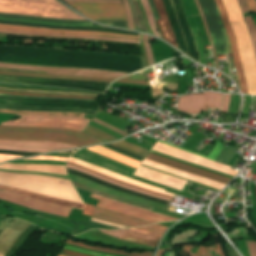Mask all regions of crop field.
<instances>
[{
    "mask_svg": "<svg viewBox=\"0 0 256 256\" xmlns=\"http://www.w3.org/2000/svg\"><path fill=\"white\" fill-rule=\"evenodd\" d=\"M123 2H124V5H125V8H126V11H127V24H128V28L135 29L134 28V24H133V20H132L131 11H130V9L128 7L127 1L123 0Z\"/></svg>",
    "mask_w": 256,
    "mask_h": 256,
    "instance_id": "crop-field-41",
    "label": "crop field"
},
{
    "mask_svg": "<svg viewBox=\"0 0 256 256\" xmlns=\"http://www.w3.org/2000/svg\"><path fill=\"white\" fill-rule=\"evenodd\" d=\"M19 157H22V156H11V155H1L0 154V162L9 160V159L19 158Z\"/></svg>",
    "mask_w": 256,
    "mask_h": 256,
    "instance_id": "crop-field-51",
    "label": "crop field"
},
{
    "mask_svg": "<svg viewBox=\"0 0 256 256\" xmlns=\"http://www.w3.org/2000/svg\"><path fill=\"white\" fill-rule=\"evenodd\" d=\"M0 145L6 146H27V147H45L54 149H65V148H75L76 146L68 145L59 142H48V141H7L0 140Z\"/></svg>",
    "mask_w": 256,
    "mask_h": 256,
    "instance_id": "crop-field-23",
    "label": "crop field"
},
{
    "mask_svg": "<svg viewBox=\"0 0 256 256\" xmlns=\"http://www.w3.org/2000/svg\"><path fill=\"white\" fill-rule=\"evenodd\" d=\"M250 10L256 13V2L255 0H247Z\"/></svg>",
    "mask_w": 256,
    "mask_h": 256,
    "instance_id": "crop-field-53",
    "label": "crop field"
},
{
    "mask_svg": "<svg viewBox=\"0 0 256 256\" xmlns=\"http://www.w3.org/2000/svg\"><path fill=\"white\" fill-rule=\"evenodd\" d=\"M237 150H238V147L228 145V147L225 149V151L219 158V161L228 163L230 159L235 155Z\"/></svg>",
    "mask_w": 256,
    "mask_h": 256,
    "instance_id": "crop-field-36",
    "label": "crop field"
},
{
    "mask_svg": "<svg viewBox=\"0 0 256 256\" xmlns=\"http://www.w3.org/2000/svg\"><path fill=\"white\" fill-rule=\"evenodd\" d=\"M148 38H149L148 36L143 35V41H144V45H145V49H146V53H147L148 64L150 66V65L154 64L155 62H154L152 52L150 50V44L147 43Z\"/></svg>",
    "mask_w": 256,
    "mask_h": 256,
    "instance_id": "crop-field-39",
    "label": "crop field"
},
{
    "mask_svg": "<svg viewBox=\"0 0 256 256\" xmlns=\"http://www.w3.org/2000/svg\"><path fill=\"white\" fill-rule=\"evenodd\" d=\"M86 234L103 236L109 238L122 239L132 242H138L148 245L156 246L157 242L160 240L159 237H153L148 235L138 234L136 232L118 230V231H100V230H91L85 232Z\"/></svg>",
    "mask_w": 256,
    "mask_h": 256,
    "instance_id": "crop-field-14",
    "label": "crop field"
},
{
    "mask_svg": "<svg viewBox=\"0 0 256 256\" xmlns=\"http://www.w3.org/2000/svg\"><path fill=\"white\" fill-rule=\"evenodd\" d=\"M139 229H143V230H147V231H151V232H155V233H160V234H164L165 230L167 229L166 227L154 224L151 226H146V227H140Z\"/></svg>",
    "mask_w": 256,
    "mask_h": 256,
    "instance_id": "crop-field-40",
    "label": "crop field"
},
{
    "mask_svg": "<svg viewBox=\"0 0 256 256\" xmlns=\"http://www.w3.org/2000/svg\"><path fill=\"white\" fill-rule=\"evenodd\" d=\"M250 256H256V242L245 241Z\"/></svg>",
    "mask_w": 256,
    "mask_h": 256,
    "instance_id": "crop-field-42",
    "label": "crop field"
},
{
    "mask_svg": "<svg viewBox=\"0 0 256 256\" xmlns=\"http://www.w3.org/2000/svg\"><path fill=\"white\" fill-rule=\"evenodd\" d=\"M63 1H82V2H117V3H122V0H63Z\"/></svg>",
    "mask_w": 256,
    "mask_h": 256,
    "instance_id": "crop-field-44",
    "label": "crop field"
},
{
    "mask_svg": "<svg viewBox=\"0 0 256 256\" xmlns=\"http://www.w3.org/2000/svg\"><path fill=\"white\" fill-rule=\"evenodd\" d=\"M88 150L94 151L96 153H99L101 155H104L106 157L112 158L114 160L120 161L122 163H125L127 165L133 166L135 168H137V166L139 165V162L132 160L130 158H127L125 156H122L112 150H109L107 148H104L102 146H98V147H94V148H88Z\"/></svg>",
    "mask_w": 256,
    "mask_h": 256,
    "instance_id": "crop-field-27",
    "label": "crop field"
},
{
    "mask_svg": "<svg viewBox=\"0 0 256 256\" xmlns=\"http://www.w3.org/2000/svg\"><path fill=\"white\" fill-rule=\"evenodd\" d=\"M0 70L37 72V73H48V74H66V75H78V76H94V77H107V78H118L123 75H126L122 73L106 72V71H98V70L44 68V67H37V66L12 65V64H2V63H0Z\"/></svg>",
    "mask_w": 256,
    "mask_h": 256,
    "instance_id": "crop-field-8",
    "label": "crop field"
},
{
    "mask_svg": "<svg viewBox=\"0 0 256 256\" xmlns=\"http://www.w3.org/2000/svg\"><path fill=\"white\" fill-rule=\"evenodd\" d=\"M0 169L36 171V172H46V173L66 175L65 166H61V165L4 164V165H0Z\"/></svg>",
    "mask_w": 256,
    "mask_h": 256,
    "instance_id": "crop-field-20",
    "label": "crop field"
},
{
    "mask_svg": "<svg viewBox=\"0 0 256 256\" xmlns=\"http://www.w3.org/2000/svg\"><path fill=\"white\" fill-rule=\"evenodd\" d=\"M230 94H225L221 112L226 113L229 105Z\"/></svg>",
    "mask_w": 256,
    "mask_h": 256,
    "instance_id": "crop-field-45",
    "label": "crop field"
},
{
    "mask_svg": "<svg viewBox=\"0 0 256 256\" xmlns=\"http://www.w3.org/2000/svg\"><path fill=\"white\" fill-rule=\"evenodd\" d=\"M153 150L168 154L170 156H173V157L185 160V161H189V162H192L195 164L209 167V168L218 170L220 172H223V173H226V174H229L232 176H234L237 173V171L230 169L229 166L204 159L202 157L196 156L194 154L176 149L174 147H171V146L159 143V142H157V144L154 146Z\"/></svg>",
    "mask_w": 256,
    "mask_h": 256,
    "instance_id": "crop-field-11",
    "label": "crop field"
},
{
    "mask_svg": "<svg viewBox=\"0 0 256 256\" xmlns=\"http://www.w3.org/2000/svg\"><path fill=\"white\" fill-rule=\"evenodd\" d=\"M142 164H145V165L157 168L159 170H162V171H165V172L177 175L179 177H182V178H185V179H188V180H191V181H195V182H198V183H201V184H204V185L216 188L218 190H220L224 186L223 184L217 183L215 181H212V180H209V179H205V178L199 177L197 175L188 174V173H185L183 171L171 169V168H168V167L156 164L154 162L148 161L146 159L142 162Z\"/></svg>",
    "mask_w": 256,
    "mask_h": 256,
    "instance_id": "crop-field-18",
    "label": "crop field"
},
{
    "mask_svg": "<svg viewBox=\"0 0 256 256\" xmlns=\"http://www.w3.org/2000/svg\"><path fill=\"white\" fill-rule=\"evenodd\" d=\"M92 220H93V221L100 222V223H103V224L111 225V226H114V227L123 228V226H119V225H115V224L107 223V222L100 221V220H97V219H94V218H93Z\"/></svg>",
    "mask_w": 256,
    "mask_h": 256,
    "instance_id": "crop-field-56",
    "label": "crop field"
},
{
    "mask_svg": "<svg viewBox=\"0 0 256 256\" xmlns=\"http://www.w3.org/2000/svg\"><path fill=\"white\" fill-rule=\"evenodd\" d=\"M251 173L256 174V163H255L254 168H253V170H252V172H251Z\"/></svg>",
    "mask_w": 256,
    "mask_h": 256,
    "instance_id": "crop-field-59",
    "label": "crop field"
},
{
    "mask_svg": "<svg viewBox=\"0 0 256 256\" xmlns=\"http://www.w3.org/2000/svg\"><path fill=\"white\" fill-rule=\"evenodd\" d=\"M64 248H65V249L72 250V251H76V252H80V253H84V254L92 255V256H105V255H97V254H92V253H88V252H84V251L76 250V249H73V248H71V247H67V246H64Z\"/></svg>",
    "mask_w": 256,
    "mask_h": 256,
    "instance_id": "crop-field-52",
    "label": "crop field"
},
{
    "mask_svg": "<svg viewBox=\"0 0 256 256\" xmlns=\"http://www.w3.org/2000/svg\"><path fill=\"white\" fill-rule=\"evenodd\" d=\"M0 74L24 76V77H36V78H58V79H70V80L97 81V82H111L115 80V79H106V78L78 77V76H64V75H44V74H32V73L8 72V71H0Z\"/></svg>",
    "mask_w": 256,
    "mask_h": 256,
    "instance_id": "crop-field-24",
    "label": "crop field"
},
{
    "mask_svg": "<svg viewBox=\"0 0 256 256\" xmlns=\"http://www.w3.org/2000/svg\"><path fill=\"white\" fill-rule=\"evenodd\" d=\"M153 2L157 8L158 15L160 18V20H157L156 23L162 37L164 38V40H166L167 42L171 43L176 48H178L175 36L173 34V31L167 19V15H166L162 0H153Z\"/></svg>",
    "mask_w": 256,
    "mask_h": 256,
    "instance_id": "crop-field-19",
    "label": "crop field"
},
{
    "mask_svg": "<svg viewBox=\"0 0 256 256\" xmlns=\"http://www.w3.org/2000/svg\"><path fill=\"white\" fill-rule=\"evenodd\" d=\"M68 161L72 162V163H75V164H78V165H81L83 167L89 168L91 170L97 171L99 173H102V174L107 175L109 177L115 178L117 180L123 181L125 183H128V184L135 185V186L147 189V190H151V191H154V192H157V193H161V194H164V195H168V196L174 197V194L166 193V192H164V189H160V188H157V187H154V186H150V185L141 183L139 181H136V180H133V179H130V178L118 175L116 173H113V172L107 171L105 169L96 167V166L88 164L86 162L77 160L75 158L70 157V159H68Z\"/></svg>",
    "mask_w": 256,
    "mask_h": 256,
    "instance_id": "crop-field-17",
    "label": "crop field"
},
{
    "mask_svg": "<svg viewBox=\"0 0 256 256\" xmlns=\"http://www.w3.org/2000/svg\"><path fill=\"white\" fill-rule=\"evenodd\" d=\"M89 120L67 116L21 115V119L1 123L11 126L59 127L82 131Z\"/></svg>",
    "mask_w": 256,
    "mask_h": 256,
    "instance_id": "crop-field-6",
    "label": "crop field"
},
{
    "mask_svg": "<svg viewBox=\"0 0 256 256\" xmlns=\"http://www.w3.org/2000/svg\"><path fill=\"white\" fill-rule=\"evenodd\" d=\"M162 143H164V142H162ZM165 144H167V143H165ZM168 145H171V144H168ZM171 146H174V145H171ZM174 147H177V146H174ZM221 147H222L221 143L218 142V144L215 146V148L212 150V152L206 158H209L211 160H215V158L217 157ZM177 148H180V147H177ZM180 149H182V148H180ZM183 150H185V149H183ZM185 151H188V150H185ZM188 152H191V151H188ZM191 153H194V152H191ZM194 154H196V153H194ZM197 155H199V154H197ZM200 156H202V155H200ZM203 157H205V156H203Z\"/></svg>",
    "mask_w": 256,
    "mask_h": 256,
    "instance_id": "crop-field-38",
    "label": "crop field"
},
{
    "mask_svg": "<svg viewBox=\"0 0 256 256\" xmlns=\"http://www.w3.org/2000/svg\"><path fill=\"white\" fill-rule=\"evenodd\" d=\"M61 253H62V254L69 255V256H87V255L75 253V252L68 251V250H64V249H62Z\"/></svg>",
    "mask_w": 256,
    "mask_h": 256,
    "instance_id": "crop-field-50",
    "label": "crop field"
},
{
    "mask_svg": "<svg viewBox=\"0 0 256 256\" xmlns=\"http://www.w3.org/2000/svg\"><path fill=\"white\" fill-rule=\"evenodd\" d=\"M0 199H4L9 202L17 203L35 210L48 212L59 216L68 217L71 211L70 208L47 204L41 201L29 199L6 191L0 192Z\"/></svg>",
    "mask_w": 256,
    "mask_h": 256,
    "instance_id": "crop-field-12",
    "label": "crop field"
},
{
    "mask_svg": "<svg viewBox=\"0 0 256 256\" xmlns=\"http://www.w3.org/2000/svg\"><path fill=\"white\" fill-rule=\"evenodd\" d=\"M0 93H4V92H0ZM7 94H12V93H7ZM20 95L51 96V97H63V98H88V97H70V96L37 95V94H20ZM88 99H95V98H88Z\"/></svg>",
    "mask_w": 256,
    "mask_h": 256,
    "instance_id": "crop-field-48",
    "label": "crop field"
},
{
    "mask_svg": "<svg viewBox=\"0 0 256 256\" xmlns=\"http://www.w3.org/2000/svg\"><path fill=\"white\" fill-rule=\"evenodd\" d=\"M3 33H17V34H29L38 36H51V37H71V38H90V39H105V40H115V41H125V42H135L139 43V40H128L122 38H109V37H93V36H77V35H61V34H49L40 32H29V31H17V30H4L0 29Z\"/></svg>",
    "mask_w": 256,
    "mask_h": 256,
    "instance_id": "crop-field-25",
    "label": "crop field"
},
{
    "mask_svg": "<svg viewBox=\"0 0 256 256\" xmlns=\"http://www.w3.org/2000/svg\"><path fill=\"white\" fill-rule=\"evenodd\" d=\"M58 256H60V255H58Z\"/></svg>",
    "mask_w": 256,
    "mask_h": 256,
    "instance_id": "crop-field-60",
    "label": "crop field"
},
{
    "mask_svg": "<svg viewBox=\"0 0 256 256\" xmlns=\"http://www.w3.org/2000/svg\"><path fill=\"white\" fill-rule=\"evenodd\" d=\"M150 155L157 156V155H154L151 153H150ZM157 157H159V156H157ZM160 158H162V157H160ZM163 159H165V158H163ZM166 160H168V159H166ZM169 161H171V160H169ZM172 162H174V161H172ZM174 163H177V162H174ZM177 164H180V163H177ZM180 165H183V164H180ZM184 166H187V165H184ZM188 167H190V166H188ZM191 168H193V167H191ZM194 169H196V168H194ZM197 170H200V169H197ZM200 171H203V170H200ZM203 172H206V171H203ZM206 173H209V172H206ZM209 174H212V173H209ZM213 175H216V174H213ZM216 176H219V175H216ZM219 177H222V176H219ZM222 178H226V177H222ZM226 179L230 180V178H226Z\"/></svg>",
    "mask_w": 256,
    "mask_h": 256,
    "instance_id": "crop-field-55",
    "label": "crop field"
},
{
    "mask_svg": "<svg viewBox=\"0 0 256 256\" xmlns=\"http://www.w3.org/2000/svg\"><path fill=\"white\" fill-rule=\"evenodd\" d=\"M116 82H123V83H136V84H144L147 85L146 81H139V80H126V79H119Z\"/></svg>",
    "mask_w": 256,
    "mask_h": 256,
    "instance_id": "crop-field-47",
    "label": "crop field"
},
{
    "mask_svg": "<svg viewBox=\"0 0 256 256\" xmlns=\"http://www.w3.org/2000/svg\"><path fill=\"white\" fill-rule=\"evenodd\" d=\"M195 3H196V5H197V7H198V10H199L200 14H201V17H202V20H203V24H204V27H205L206 33H207L208 38H209V41H210V43H211L212 52H213V56H214V59H215V66H216V68H218V64H217L216 57H215V52H214L213 43H212V40H211L210 34H209V32H208V29H207V25H206V22H205L204 15H203V13H202V10H201V8H200L199 3H198V1H197V0H195Z\"/></svg>",
    "mask_w": 256,
    "mask_h": 256,
    "instance_id": "crop-field-37",
    "label": "crop field"
},
{
    "mask_svg": "<svg viewBox=\"0 0 256 256\" xmlns=\"http://www.w3.org/2000/svg\"><path fill=\"white\" fill-rule=\"evenodd\" d=\"M67 244L87 248V249H92L96 251H101V252H108V253H115V254H121V255H127V256H152L154 252H145V253H135V254H128L123 251H118V250H112V249H106V248H100V247H93V246H86L80 242H72V241H67Z\"/></svg>",
    "mask_w": 256,
    "mask_h": 256,
    "instance_id": "crop-field-30",
    "label": "crop field"
},
{
    "mask_svg": "<svg viewBox=\"0 0 256 256\" xmlns=\"http://www.w3.org/2000/svg\"><path fill=\"white\" fill-rule=\"evenodd\" d=\"M222 96L223 94L214 92L179 96L177 109L190 114H198L200 109L207 111L208 107L219 108Z\"/></svg>",
    "mask_w": 256,
    "mask_h": 256,
    "instance_id": "crop-field-10",
    "label": "crop field"
},
{
    "mask_svg": "<svg viewBox=\"0 0 256 256\" xmlns=\"http://www.w3.org/2000/svg\"><path fill=\"white\" fill-rule=\"evenodd\" d=\"M25 211L39 214L47 218L43 226L44 229H49V230H54V231H59V232H64L69 234H71L73 232L72 230H74L75 233H73L72 235L80 234L89 229H116V228H112V227L105 226V225L88 221V220L80 219L79 221H77L69 218H63V217H59V216H55V215H51L43 212H38V211L27 209V208H25ZM39 215H36L33 221V224L39 227H42L45 221V218Z\"/></svg>",
    "mask_w": 256,
    "mask_h": 256,
    "instance_id": "crop-field-5",
    "label": "crop field"
},
{
    "mask_svg": "<svg viewBox=\"0 0 256 256\" xmlns=\"http://www.w3.org/2000/svg\"><path fill=\"white\" fill-rule=\"evenodd\" d=\"M146 159H149L151 161L157 162L159 164H162V165H165V166H168V167H171V168L183 170V171H186L188 173H193V174H197V175L202 176V177L210 178V179H213V180L218 181L220 183L226 184L229 181V180L222 179V178H219V177H216V176H213V175H209V174H206V173H203V172H200V171L192 170V169H189V168H186V167H183V166H180V165H177V164H174V163H171L169 161L159 159V158H156V157H153V156L147 155Z\"/></svg>",
    "mask_w": 256,
    "mask_h": 256,
    "instance_id": "crop-field-26",
    "label": "crop field"
},
{
    "mask_svg": "<svg viewBox=\"0 0 256 256\" xmlns=\"http://www.w3.org/2000/svg\"><path fill=\"white\" fill-rule=\"evenodd\" d=\"M126 230H132V231H136V232H139V233L154 235V236H159V237L162 236V235H158V234H154V233H150V232H146V231H142V230H138V229H134V228H130V229H126Z\"/></svg>",
    "mask_w": 256,
    "mask_h": 256,
    "instance_id": "crop-field-54",
    "label": "crop field"
},
{
    "mask_svg": "<svg viewBox=\"0 0 256 256\" xmlns=\"http://www.w3.org/2000/svg\"><path fill=\"white\" fill-rule=\"evenodd\" d=\"M28 159H51V160H63V161L67 160V158H62V157H43V156L28 158Z\"/></svg>",
    "mask_w": 256,
    "mask_h": 256,
    "instance_id": "crop-field-49",
    "label": "crop field"
},
{
    "mask_svg": "<svg viewBox=\"0 0 256 256\" xmlns=\"http://www.w3.org/2000/svg\"><path fill=\"white\" fill-rule=\"evenodd\" d=\"M91 198L100 200L99 203L97 204V207L104 208L113 212L125 214L128 216L144 219L153 223L178 220V219L166 217L160 214L152 213L148 210L118 203L108 198L100 197L97 195L92 194Z\"/></svg>",
    "mask_w": 256,
    "mask_h": 256,
    "instance_id": "crop-field-9",
    "label": "crop field"
},
{
    "mask_svg": "<svg viewBox=\"0 0 256 256\" xmlns=\"http://www.w3.org/2000/svg\"><path fill=\"white\" fill-rule=\"evenodd\" d=\"M0 113L36 114V115H67V116H75V117H84V115H85V114H80V113L37 112V111H12V110H0Z\"/></svg>",
    "mask_w": 256,
    "mask_h": 256,
    "instance_id": "crop-field-32",
    "label": "crop field"
},
{
    "mask_svg": "<svg viewBox=\"0 0 256 256\" xmlns=\"http://www.w3.org/2000/svg\"><path fill=\"white\" fill-rule=\"evenodd\" d=\"M72 183H73L74 187L80 188V189L85 190L87 192H91V193L98 194V195H101V196H104V197H108V198H111V199L116 200L118 202L135 205V206L142 207V208L149 209V210L152 209V207H148V206H145V205L137 204V203L125 200V199L118 198V197L110 196V195L104 194L102 192H99L97 190H94V189H91V188L79 185L77 183H74V182H72Z\"/></svg>",
    "mask_w": 256,
    "mask_h": 256,
    "instance_id": "crop-field-31",
    "label": "crop field"
},
{
    "mask_svg": "<svg viewBox=\"0 0 256 256\" xmlns=\"http://www.w3.org/2000/svg\"><path fill=\"white\" fill-rule=\"evenodd\" d=\"M67 167H68V168L75 169V170H78V171H81V172H84V173L89 174V175H92V176H94V177L100 178V179L105 180V181H107V182H109V183H111V184H114V185L122 186V187H125V188H128V189H131V190H135V191H138V192H141V193H144V194H148V195H151V196H154V197H158V198H161V199H165V200L170 201V198H166V197H163V196H160V195H156V194H153V193H150V192H146V191H143V190H140V189H137V188H133V187H130V186L122 185V184L117 183V182H115V181H112V180H110V179H108V178H105V177H103V176L97 175V174H95V173L89 172V171H87V170L81 169V168L76 167V166H72V165H68V164H67Z\"/></svg>",
    "mask_w": 256,
    "mask_h": 256,
    "instance_id": "crop-field-28",
    "label": "crop field"
},
{
    "mask_svg": "<svg viewBox=\"0 0 256 256\" xmlns=\"http://www.w3.org/2000/svg\"><path fill=\"white\" fill-rule=\"evenodd\" d=\"M83 215L101 218L114 223L122 224L129 227L143 226L152 224L150 222L116 214L107 210L99 209L93 206L85 205Z\"/></svg>",
    "mask_w": 256,
    "mask_h": 256,
    "instance_id": "crop-field-13",
    "label": "crop field"
},
{
    "mask_svg": "<svg viewBox=\"0 0 256 256\" xmlns=\"http://www.w3.org/2000/svg\"><path fill=\"white\" fill-rule=\"evenodd\" d=\"M0 28L40 31V32H49V33L106 35V36H117V37H127V38H136V39H139V37H140V36H136V35H127V34L84 32V31H70V30H53V29H39V28H31V27H23V26H12V25H0Z\"/></svg>",
    "mask_w": 256,
    "mask_h": 256,
    "instance_id": "crop-field-21",
    "label": "crop field"
},
{
    "mask_svg": "<svg viewBox=\"0 0 256 256\" xmlns=\"http://www.w3.org/2000/svg\"><path fill=\"white\" fill-rule=\"evenodd\" d=\"M234 31L248 94L256 95V60L237 0H222Z\"/></svg>",
    "mask_w": 256,
    "mask_h": 256,
    "instance_id": "crop-field-2",
    "label": "crop field"
},
{
    "mask_svg": "<svg viewBox=\"0 0 256 256\" xmlns=\"http://www.w3.org/2000/svg\"><path fill=\"white\" fill-rule=\"evenodd\" d=\"M0 150H12V151H24V152H40L45 153L48 151H53V149H44V148H16V147H5L0 146Z\"/></svg>",
    "mask_w": 256,
    "mask_h": 256,
    "instance_id": "crop-field-35",
    "label": "crop field"
},
{
    "mask_svg": "<svg viewBox=\"0 0 256 256\" xmlns=\"http://www.w3.org/2000/svg\"><path fill=\"white\" fill-rule=\"evenodd\" d=\"M92 20H126L123 4L67 2Z\"/></svg>",
    "mask_w": 256,
    "mask_h": 256,
    "instance_id": "crop-field-7",
    "label": "crop field"
},
{
    "mask_svg": "<svg viewBox=\"0 0 256 256\" xmlns=\"http://www.w3.org/2000/svg\"><path fill=\"white\" fill-rule=\"evenodd\" d=\"M166 250L171 251V249H159L156 256H161Z\"/></svg>",
    "mask_w": 256,
    "mask_h": 256,
    "instance_id": "crop-field-57",
    "label": "crop field"
},
{
    "mask_svg": "<svg viewBox=\"0 0 256 256\" xmlns=\"http://www.w3.org/2000/svg\"><path fill=\"white\" fill-rule=\"evenodd\" d=\"M0 139L60 141L79 147L100 143L79 131L55 128L0 126Z\"/></svg>",
    "mask_w": 256,
    "mask_h": 256,
    "instance_id": "crop-field-3",
    "label": "crop field"
},
{
    "mask_svg": "<svg viewBox=\"0 0 256 256\" xmlns=\"http://www.w3.org/2000/svg\"><path fill=\"white\" fill-rule=\"evenodd\" d=\"M0 78H4V79H19V80H32V81H41V82L74 83V84L93 85V86H108L109 85V83L68 81V80H51V79H36V78L12 77V76H2V75H0Z\"/></svg>",
    "mask_w": 256,
    "mask_h": 256,
    "instance_id": "crop-field-29",
    "label": "crop field"
},
{
    "mask_svg": "<svg viewBox=\"0 0 256 256\" xmlns=\"http://www.w3.org/2000/svg\"><path fill=\"white\" fill-rule=\"evenodd\" d=\"M238 3L243 15L250 12L246 0H238Z\"/></svg>",
    "mask_w": 256,
    "mask_h": 256,
    "instance_id": "crop-field-43",
    "label": "crop field"
},
{
    "mask_svg": "<svg viewBox=\"0 0 256 256\" xmlns=\"http://www.w3.org/2000/svg\"><path fill=\"white\" fill-rule=\"evenodd\" d=\"M0 13L85 20L56 0H0Z\"/></svg>",
    "mask_w": 256,
    "mask_h": 256,
    "instance_id": "crop-field-4",
    "label": "crop field"
},
{
    "mask_svg": "<svg viewBox=\"0 0 256 256\" xmlns=\"http://www.w3.org/2000/svg\"><path fill=\"white\" fill-rule=\"evenodd\" d=\"M58 181L66 182L65 186L56 184ZM0 185L11 186L18 189L62 198L78 203L83 201L70 181L54 177L12 174L0 171Z\"/></svg>",
    "mask_w": 256,
    "mask_h": 256,
    "instance_id": "crop-field-1",
    "label": "crop field"
},
{
    "mask_svg": "<svg viewBox=\"0 0 256 256\" xmlns=\"http://www.w3.org/2000/svg\"><path fill=\"white\" fill-rule=\"evenodd\" d=\"M244 19H245L246 24H247L248 32H249V35L251 37L253 47H254V51H255V56H256V27H255L254 21H253V19L251 18L250 15L244 16Z\"/></svg>",
    "mask_w": 256,
    "mask_h": 256,
    "instance_id": "crop-field-34",
    "label": "crop field"
},
{
    "mask_svg": "<svg viewBox=\"0 0 256 256\" xmlns=\"http://www.w3.org/2000/svg\"><path fill=\"white\" fill-rule=\"evenodd\" d=\"M215 2L217 4V7H218V10H219L224 28L227 32L228 37H229L230 46H231L233 59H234V64H235V68H236V72H237V75H238V79H239V83H240L242 93H247L233 31H232V29L229 25V21H228V18H227V15H226V12H225V9L222 5L221 0H215Z\"/></svg>",
    "mask_w": 256,
    "mask_h": 256,
    "instance_id": "crop-field-15",
    "label": "crop field"
},
{
    "mask_svg": "<svg viewBox=\"0 0 256 256\" xmlns=\"http://www.w3.org/2000/svg\"><path fill=\"white\" fill-rule=\"evenodd\" d=\"M134 175L157 182V183H161L173 188H177L180 190H182L183 186L186 183V180H183L174 176H170V175L146 168L141 165H139Z\"/></svg>",
    "mask_w": 256,
    "mask_h": 256,
    "instance_id": "crop-field-16",
    "label": "crop field"
},
{
    "mask_svg": "<svg viewBox=\"0 0 256 256\" xmlns=\"http://www.w3.org/2000/svg\"><path fill=\"white\" fill-rule=\"evenodd\" d=\"M141 3L145 9V13H146V19L149 23V26L153 32L154 35L160 37L159 32L156 29L155 23H154V19H153V15L149 6V3L147 0H141Z\"/></svg>",
    "mask_w": 256,
    "mask_h": 256,
    "instance_id": "crop-field-33",
    "label": "crop field"
},
{
    "mask_svg": "<svg viewBox=\"0 0 256 256\" xmlns=\"http://www.w3.org/2000/svg\"><path fill=\"white\" fill-rule=\"evenodd\" d=\"M69 163V162H68ZM69 164H72V163H69ZM73 165H75V164H73ZM76 166H78V165H76ZM79 167H81V166H79ZM81 168H83V167H81ZM84 169H86V168H84ZM87 170H89V169H87ZM89 171H91V170H89ZM92 172H94V171H92ZM95 173H97V172H95ZM97 174H99V173H97ZM100 175H102V174H100ZM104 176V175H103ZM105 177H107V176H105ZM109 178V177H108ZM110 179H112V178H110ZM112 180H114V179H112ZM115 181H117V180H115ZM118 182H120V181H118ZM122 183V182H121ZM125 184V183H124ZM128 185V184H127ZM131 186V185H130ZM133 187H135V186H133ZM138 188V187H137ZM141 189V188H140ZM144 190V189H143ZM151 192V191H150ZM154 193V192H153ZM161 195V194H160ZM164 196V195H163ZM168 197V196H167ZM170 198H172V197H170Z\"/></svg>",
    "mask_w": 256,
    "mask_h": 256,
    "instance_id": "crop-field-58",
    "label": "crop field"
},
{
    "mask_svg": "<svg viewBox=\"0 0 256 256\" xmlns=\"http://www.w3.org/2000/svg\"><path fill=\"white\" fill-rule=\"evenodd\" d=\"M93 121H95V122H97V123H99V124H101V125H104V126H106V127H108V128H111V129L117 131L118 133H120V134H122V135H124V136L128 135L127 133H125V132H123V131H121V130H118V129H116V128H114V127H112V126H110V125H108V124H106V123H104V122H101V121H99V120H97V119H95V118H93Z\"/></svg>",
    "mask_w": 256,
    "mask_h": 256,
    "instance_id": "crop-field-46",
    "label": "crop field"
},
{
    "mask_svg": "<svg viewBox=\"0 0 256 256\" xmlns=\"http://www.w3.org/2000/svg\"><path fill=\"white\" fill-rule=\"evenodd\" d=\"M0 189L10 191V192H13L16 194H20L23 196L31 197L34 199L42 200V201H45L48 203H54V204H58V205H62V206L70 207V208H75V209H81V210L84 209V206L82 204L73 203V202H69L66 200H62V199L46 197V196H42V195H38V194H34V193L22 191V190L10 188V187L0 186Z\"/></svg>",
    "mask_w": 256,
    "mask_h": 256,
    "instance_id": "crop-field-22",
    "label": "crop field"
}]
</instances>
